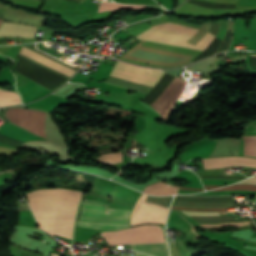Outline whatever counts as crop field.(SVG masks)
<instances>
[{"mask_svg": "<svg viewBox=\"0 0 256 256\" xmlns=\"http://www.w3.org/2000/svg\"><path fill=\"white\" fill-rule=\"evenodd\" d=\"M237 225H249V223L248 222H238V223H232V224L192 225V226H198V227H220V226H237Z\"/></svg>", "mask_w": 256, "mask_h": 256, "instance_id": "18", "label": "crop field"}, {"mask_svg": "<svg viewBox=\"0 0 256 256\" xmlns=\"http://www.w3.org/2000/svg\"><path fill=\"white\" fill-rule=\"evenodd\" d=\"M186 215H197V216H211V215H219L223 214L222 212H199V211H187L182 210Z\"/></svg>", "mask_w": 256, "mask_h": 256, "instance_id": "17", "label": "crop field"}, {"mask_svg": "<svg viewBox=\"0 0 256 256\" xmlns=\"http://www.w3.org/2000/svg\"><path fill=\"white\" fill-rule=\"evenodd\" d=\"M174 209H187V210H199V211H224V214H226L227 208H221V209H188V208H181V207H172Z\"/></svg>", "mask_w": 256, "mask_h": 256, "instance_id": "20", "label": "crop field"}, {"mask_svg": "<svg viewBox=\"0 0 256 256\" xmlns=\"http://www.w3.org/2000/svg\"><path fill=\"white\" fill-rule=\"evenodd\" d=\"M200 179H232V180H242L241 177H200Z\"/></svg>", "mask_w": 256, "mask_h": 256, "instance_id": "21", "label": "crop field"}, {"mask_svg": "<svg viewBox=\"0 0 256 256\" xmlns=\"http://www.w3.org/2000/svg\"><path fill=\"white\" fill-rule=\"evenodd\" d=\"M204 168L228 167L233 165H243L256 167V158L250 157H217L210 159H202Z\"/></svg>", "mask_w": 256, "mask_h": 256, "instance_id": "9", "label": "crop field"}, {"mask_svg": "<svg viewBox=\"0 0 256 256\" xmlns=\"http://www.w3.org/2000/svg\"><path fill=\"white\" fill-rule=\"evenodd\" d=\"M110 75L152 87L163 75V72L155 69L129 65L118 61ZM111 76L108 77L105 83L144 93H147L151 89V87L136 84Z\"/></svg>", "mask_w": 256, "mask_h": 256, "instance_id": "4", "label": "crop field"}, {"mask_svg": "<svg viewBox=\"0 0 256 256\" xmlns=\"http://www.w3.org/2000/svg\"><path fill=\"white\" fill-rule=\"evenodd\" d=\"M174 199H178V200H194V201H226V200H234L233 198H227V199H190V198H181V197H175Z\"/></svg>", "mask_w": 256, "mask_h": 256, "instance_id": "19", "label": "crop field"}, {"mask_svg": "<svg viewBox=\"0 0 256 256\" xmlns=\"http://www.w3.org/2000/svg\"><path fill=\"white\" fill-rule=\"evenodd\" d=\"M36 28L18 24L6 23L0 27V36H20L23 38H32L35 35Z\"/></svg>", "mask_w": 256, "mask_h": 256, "instance_id": "11", "label": "crop field"}, {"mask_svg": "<svg viewBox=\"0 0 256 256\" xmlns=\"http://www.w3.org/2000/svg\"><path fill=\"white\" fill-rule=\"evenodd\" d=\"M100 161H104L106 163H116L121 161V151L111 153L108 155L100 156Z\"/></svg>", "mask_w": 256, "mask_h": 256, "instance_id": "16", "label": "crop field"}, {"mask_svg": "<svg viewBox=\"0 0 256 256\" xmlns=\"http://www.w3.org/2000/svg\"><path fill=\"white\" fill-rule=\"evenodd\" d=\"M184 85L185 82L176 77L166 91L151 105L164 119L170 114Z\"/></svg>", "mask_w": 256, "mask_h": 256, "instance_id": "8", "label": "crop field"}, {"mask_svg": "<svg viewBox=\"0 0 256 256\" xmlns=\"http://www.w3.org/2000/svg\"><path fill=\"white\" fill-rule=\"evenodd\" d=\"M145 6H136V5H125V4H118V3H108V2H103L100 7L99 11H105V10H121V9H131V8H143Z\"/></svg>", "mask_w": 256, "mask_h": 256, "instance_id": "15", "label": "crop field"}, {"mask_svg": "<svg viewBox=\"0 0 256 256\" xmlns=\"http://www.w3.org/2000/svg\"><path fill=\"white\" fill-rule=\"evenodd\" d=\"M152 29H158V30L174 32V33L190 35V36H193L198 31V29L182 26L180 24H176L172 22L155 25L152 27ZM152 29H149L146 32L136 37L141 40L171 44V45L200 49V50H203L205 47H207L215 37L207 32L206 35L203 37V39L199 43H197L195 46H193L186 42L188 39L191 38L190 36H184V35L168 33V32H163L158 30H152Z\"/></svg>", "mask_w": 256, "mask_h": 256, "instance_id": "3", "label": "crop field"}, {"mask_svg": "<svg viewBox=\"0 0 256 256\" xmlns=\"http://www.w3.org/2000/svg\"><path fill=\"white\" fill-rule=\"evenodd\" d=\"M9 119L23 128L32 131L33 110L12 108L8 110ZM46 112L34 110L33 133L44 136V119ZM8 118V115H7ZM12 122V123H13ZM14 123V124H15ZM16 124V125H17Z\"/></svg>", "mask_w": 256, "mask_h": 256, "instance_id": "7", "label": "crop field"}, {"mask_svg": "<svg viewBox=\"0 0 256 256\" xmlns=\"http://www.w3.org/2000/svg\"><path fill=\"white\" fill-rule=\"evenodd\" d=\"M21 103L19 95L0 89V107Z\"/></svg>", "mask_w": 256, "mask_h": 256, "instance_id": "14", "label": "crop field"}, {"mask_svg": "<svg viewBox=\"0 0 256 256\" xmlns=\"http://www.w3.org/2000/svg\"><path fill=\"white\" fill-rule=\"evenodd\" d=\"M135 256H148V255H145V254H142V253H139V252L135 251Z\"/></svg>", "mask_w": 256, "mask_h": 256, "instance_id": "27", "label": "crop field"}, {"mask_svg": "<svg viewBox=\"0 0 256 256\" xmlns=\"http://www.w3.org/2000/svg\"><path fill=\"white\" fill-rule=\"evenodd\" d=\"M131 248L155 256H168L166 243L130 245Z\"/></svg>", "mask_w": 256, "mask_h": 256, "instance_id": "12", "label": "crop field"}, {"mask_svg": "<svg viewBox=\"0 0 256 256\" xmlns=\"http://www.w3.org/2000/svg\"><path fill=\"white\" fill-rule=\"evenodd\" d=\"M179 189L203 191V189H198V188H188V187H180Z\"/></svg>", "mask_w": 256, "mask_h": 256, "instance_id": "25", "label": "crop field"}, {"mask_svg": "<svg viewBox=\"0 0 256 256\" xmlns=\"http://www.w3.org/2000/svg\"><path fill=\"white\" fill-rule=\"evenodd\" d=\"M205 189L206 190H209V189H213V188H217V187H221V186H208V185H204Z\"/></svg>", "mask_w": 256, "mask_h": 256, "instance_id": "26", "label": "crop field"}, {"mask_svg": "<svg viewBox=\"0 0 256 256\" xmlns=\"http://www.w3.org/2000/svg\"><path fill=\"white\" fill-rule=\"evenodd\" d=\"M147 195L142 194L136 202L131 216V226L142 223L165 224L169 208L144 201Z\"/></svg>", "mask_w": 256, "mask_h": 256, "instance_id": "6", "label": "crop field"}, {"mask_svg": "<svg viewBox=\"0 0 256 256\" xmlns=\"http://www.w3.org/2000/svg\"><path fill=\"white\" fill-rule=\"evenodd\" d=\"M249 54H254V53H249ZM256 55V54H255Z\"/></svg>", "mask_w": 256, "mask_h": 256, "instance_id": "28", "label": "crop field"}, {"mask_svg": "<svg viewBox=\"0 0 256 256\" xmlns=\"http://www.w3.org/2000/svg\"><path fill=\"white\" fill-rule=\"evenodd\" d=\"M39 225L54 234L74 238L81 191L41 189L26 193Z\"/></svg>", "mask_w": 256, "mask_h": 256, "instance_id": "1", "label": "crop field"}, {"mask_svg": "<svg viewBox=\"0 0 256 256\" xmlns=\"http://www.w3.org/2000/svg\"><path fill=\"white\" fill-rule=\"evenodd\" d=\"M109 245L165 242L163 229L154 225H144L116 232H102Z\"/></svg>", "mask_w": 256, "mask_h": 256, "instance_id": "5", "label": "crop field"}, {"mask_svg": "<svg viewBox=\"0 0 256 256\" xmlns=\"http://www.w3.org/2000/svg\"><path fill=\"white\" fill-rule=\"evenodd\" d=\"M226 190H247V191H255L256 189L254 188H223V189H217V190H213V191H226Z\"/></svg>", "mask_w": 256, "mask_h": 256, "instance_id": "22", "label": "crop field"}, {"mask_svg": "<svg viewBox=\"0 0 256 256\" xmlns=\"http://www.w3.org/2000/svg\"><path fill=\"white\" fill-rule=\"evenodd\" d=\"M178 187L166 186L165 183L159 182L147 186L144 193L154 194V195H170L177 192Z\"/></svg>", "mask_w": 256, "mask_h": 256, "instance_id": "13", "label": "crop field"}, {"mask_svg": "<svg viewBox=\"0 0 256 256\" xmlns=\"http://www.w3.org/2000/svg\"><path fill=\"white\" fill-rule=\"evenodd\" d=\"M19 53L26 56V57H29V58H31L35 61H38L42 64H45V65H47L51 68H54V69H56L60 72H63L65 74L69 75V76L73 75V73L76 72L75 70H73V69H71V68H69L65 65H62V64H60V63H58V62H56L52 59H49V58H47V57H45V56H43L39 53H36V52L26 48V47H22Z\"/></svg>", "mask_w": 256, "mask_h": 256, "instance_id": "10", "label": "crop field"}, {"mask_svg": "<svg viewBox=\"0 0 256 256\" xmlns=\"http://www.w3.org/2000/svg\"><path fill=\"white\" fill-rule=\"evenodd\" d=\"M228 187H255L256 188V185H231Z\"/></svg>", "mask_w": 256, "mask_h": 256, "instance_id": "24", "label": "crop field"}, {"mask_svg": "<svg viewBox=\"0 0 256 256\" xmlns=\"http://www.w3.org/2000/svg\"><path fill=\"white\" fill-rule=\"evenodd\" d=\"M129 216L130 210L106 208L101 202L84 199L78 225L118 230L129 226Z\"/></svg>", "mask_w": 256, "mask_h": 256, "instance_id": "2", "label": "crop field"}, {"mask_svg": "<svg viewBox=\"0 0 256 256\" xmlns=\"http://www.w3.org/2000/svg\"><path fill=\"white\" fill-rule=\"evenodd\" d=\"M256 177V176H254ZM238 184H256V178H250L244 182L238 183Z\"/></svg>", "mask_w": 256, "mask_h": 256, "instance_id": "23", "label": "crop field"}]
</instances>
